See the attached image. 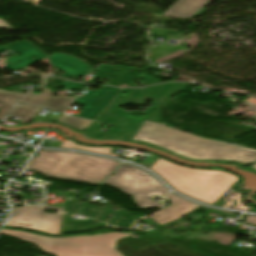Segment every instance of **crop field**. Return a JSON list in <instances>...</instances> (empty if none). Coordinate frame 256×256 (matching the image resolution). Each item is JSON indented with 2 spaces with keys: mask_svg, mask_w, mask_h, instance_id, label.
I'll return each instance as SVG.
<instances>
[{
  "mask_svg": "<svg viewBox=\"0 0 256 256\" xmlns=\"http://www.w3.org/2000/svg\"><path fill=\"white\" fill-rule=\"evenodd\" d=\"M132 140L144 141L193 160L237 161L243 164L256 160V150L200 138L150 121L144 122Z\"/></svg>",
  "mask_w": 256,
  "mask_h": 256,
  "instance_id": "crop-field-1",
  "label": "crop field"
},
{
  "mask_svg": "<svg viewBox=\"0 0 256 256\" xmlns=\"http://www.w3.org/2000/svg\"><path fill=\"white\" fill-rule=\"evenodd\" d=\"M188 84L184 83H170L157 85L149 88L143 89H122L121 92L117 95V97L113 100V102L108 106V108L101 114V116L97 119L105 124L110 123L115 125L107 132L103 133L98 131L103 124H99L93 122L82 134L84 137L91 139H118L131 140L133 136L137 133L139 128L141 127L144 120H150L158 123V115H159V106L162 105L170 96L181 91ZM122 92H127L126 95H120ZM146 99H151L154 101L155 111H152L153 108H147L143 113L146 115L145 118L134 120L128 116V112L121 111L119 109L122 105H127L132 102L136 105H143ZM138 113V112H132Z\"/></svg>",
  "mask_w": 256,
  "mask_h": 256,
  "instance_id": "crop-field-2",
  "label": "crop field"
},
{
  "mask_svg": "<svg viewBox=\"0 0 256 256\" xmlns=\"http://www.w3.org/2000/svg\"><path fill=\"white\" fill-rule=\"evenodd\" d=\"M149 169L176 191L208 204H215L239 181L238 176L230 172L187 168L161 158Z\"/></svg>",
  "mask_w": 256,
  "mask_h": 256,
  "instance_id": "crop-field-3",
  "label": "crop field"
},
{
  "mask_svg": "<svg viewBox=\"0 0 256 256\" xmlns=\"http://www.w3.org/2000/svg\"><path fill=\"white\" fill-rule=\"evenodd\" d=\"M27 169L46 176L99 185L120 163L71 153L38 152Z\"/></svg>",
  "mask_w": 256,
  "mask_h": 256,
  "instance_id": "crop-field-4",
  "label": "crop field"
},
{
  "mask_svg": "<svg viewBox=\"0 0 256 256\" xmlns=\"http://www.w3.org/2000/svg\"><path fill=\"white\" fill-rule=\"evenodd\" d=\"M1 233L33 242L43 251L57 256H124L116 250L120 238L128 233H107L77 237L49 238L25 231L1 229Z\"/></svg>",
  "mask_w": 256,
  "mask_h": 256,
  "instance_id": "crop-field-5",
  "label": "crop field"
},
{
  "mask_svg": "<svg viewBox=\"0 0 256 256\" xmlns=\"http://www.w3.org/2000/svg\"><path fill=\"white\" fill-rule=\"evenodd\" d=\"M105 184L121 190V192L132 196L133 202L139 208H153L160 204L149 199L152 195L164 196L167 191L154 179L147 176L138 169L126 164L121 165Z\"/></svg>",
  "mask_w": 256,
  "mask_h": 256,
  "instance_id": "crop-field-6",
  "label": "crop field"
},
{
  "mask_svg": "<svg viewBox=\"0 0 256 256\" xmlns=\"http://www.w3.org/2000/svg\"><path fill=\"white\" fill-rule=\"evenodd\" d=\"M45 208L57 210V214L44 213ZM13 214L5 227L29 229L59 235L63 208L55 206L12 207Z\"/></svg>",
  "mask_w": 256,
  "mask_h": 256,
  "instance_id": "crop-field-7",
  "label": "crop field"
},
{
  "mask_svg": "<svg viewBox=\"0 0 256 256\" xmlns=\"http://www.w3.org/2000/svg\"><path fill=\"white\" fill-rule=\"evenodd\" d=\"M120 88L101 87L99 92L87 90L83 97L77 98L76 103L85 106L78 115L80 117L95 120L120 92Z\"/></svg>",
  "mask_w": 256,
  "mask_h": 256,
  "instance_id": "crop-field-8",
  "label": "crop field"
},
{
  "mask_svg": "<svg viewBox=\"0 0 256 256\" xmlns=\"http://www.w3.org/2000/svg\"><path fill=\"white\" fill-rule=\"evenodd\" d=\"M10 49L19 55L5 60V68L10 70H21L45 57L42 51L27 40L0 47V51ZM36 59H33V58ZM17 62H20L19 64Z\"/></svg>",
  "mask_w": 256,
  "mask_h": 256,
  "instance_id": "crop-field-9",
  "label": "crop field"
},
{
  "mask_svg": "<svg viewBox=\"0 0 256 256\" xmlns=\"http://www.w3.org/2000/svg\"><path fill=\"white\" fill-rule=\"evenodd\" d=\"M96 71L98 73L95 77L91 79L90 81L91 83H94L98 77H102V78H110L111 84L114 86H125V85H122V83H127L129 84V87H138L130 84V80L132 79L130 77L133 71L132 68H126L122 66L99 65ZM142 78L147 80V82H145V85L143 86L159 82V80L155 78H149L145 76H143Z\"/></svg>",
  "mask_w": 256,
  "mask_h": 256,
  "instance_id": "crop-field-10",
  "label": "crop field"
},
{
  "mask_svg": "<svg viewBox=\"0 0 256 256\" xmlns=\"http://www.w3.org/2000/svg\"><path fill=\"white\" fill-rule=\"evenodd\" d=\"M91 208H93L91 210ZM82 212V213H80ZM78 214L86 216V217H92L94 219H99L102 221H106L107 218L109 217V213H112L115 217H111L108 220H112V222H109L110 225L112 226H120V227H126L129 228V222L133 223L134 218L129 215L127 212L125 213L124 210L122 211H113L111 204H108L106 208L99 209L96 208L95 205H90L87 204ZM121 217H124L125 219H122Z\"/></svg>",
  "mask_w": 256,
  "mask_h": 256,
  "instance_id": "crop-field-11",
  "label": "crop field"
},
{
  "mask_svg": "<svg viewBox=\"0 0 256 256\" xmlns=\"http://www.w3.org/2000/svg\"><path fill=\"white\" fill-rule=\"evenodd\" d=\"M167 197L171 200L170 206L150 216V218H152L160 225L176 220L198 207L180 198H177L172 194L167 195Z\"/></svg>",
  "mask_w": 256,
  "mask_h": 256,
  "instance_id": "crop-field-12",
  "label": "crop field"
},
{
  "mask_svg": "<svg viewBox=\"0 0 256 256\" xmlns=\"http://www.w3.org/2000/svg\"><path fill=\"white\" fill-rule=\"evenodd\" d=\"M85 203L78 205L75 201H66L64 206V214L62 225L60 229V233H69V232H77V231H86L96 226L107 225L105 223H95L97 221L88 219L83 221H75L71 222L70 215H74L79 208Z\"/></svg>",
  "mask_w": 256,
  "mask_h": 256,
  "instance_id": "crop-field-13",
  "label": "crop field"
},
{
  "mask_svg": "<svg viewBox=\"0 0 256 256\" xmlns=\"http://www.w3.org/2000/svg\"><path fill=\"white\" fill-rule=\"evenodd\" d=\"M49 60L51 64L66 71V73L61 77H64L67 79L70 78V75L80 77L93 71V69L89 67L85 62L79 59H76L74 57L67 56L62 53L53 54L52 56L49 57ZM87 69H89L90 71L87 72L86 71Z\"/></svg>",
  "mask_w": 256,
  "mask_h": 256,
  "instance_id": "crop-field-14",
  "label": "crop field"
},
{
  "mask_svg": "<svg viewBox=\"0 0 256 256\" xmlns=\"http://www.w3.org/2000/svg\"><path fill=\"white\" fill-rule=\"evenodd\" d=\"M209 0H178L163 15L180 18H190Z\"/></svg>",
  "mask_w": 256,
  "mask_h": 256,
  "instance_id": "crop-field-15",
  "label": "crop field"
},
{
  "mask_svg": "<svg viewBox=\"0 0 256 256\" xmlns=\"http://www.w3.org/2000/svg\"><path fill=\"white\" fill-rule=\"evenodd\" d=\"M6 92L0 90V106L3 105V108L0 110V113L7 114L10 109L13 107L15 102L23 95V93L16 92Z\"/></svg>",
  "mask_w": 256,
  "mask_h": 256,
  "instance_id": "crop-field-16",
  "label": "crop field"
},
{
  "mask_svg": "<svg viewBox=\"0 0 256 256\" xmlns=\"http://www.w3.org/2000/svg\"><path fill=\"white\" fill-rule=\"evenodd\" d=\"M75 99L74 96H64L58 95L56 97H52L48 102L44 105L50 109L57 110L63 112L69 106V104Z\"/></svg>",
  "mask_w": 256,
  "mask_h": 256,
  "instance_id": "crop-field-17",
  "label": "crop field"
},
{
  "mask_svg": "<svg viewBox=\"0 0 256 256\" xmlns=\"http://www.w3.org/2000/svg\"><path fill=\"white\" fill-rule=\"evenodd\" d=\"M60 147H66V148H78L89 152H95V153H101L109 156L118 157L117 154L109 153L113 148H105V147H87V146H81L77 143L66 139Z\"/></svg>",
  "mask_w": 256,
  "mask_h": 256,
  "instance_id": "crop-field-18",
  "label": "crop field"
},
{
  "mask_svg": "<svg viewBox=\"0 0 256 256\" xmlns=\"http://www.w3.org/2000/svg\"><path fill=\"white\" fill-rule=\"evenodd\" d=\"M54 92L48 91V88H43V92L40 94H27L20 102L32 103L43 106L46 101L52 97Z\"/></svg>",
  "mask_w": 256,
  "mask_h": 256,
  "instance_id": "crop-field-19",
  "label": "crop field"
},
{
  "mask_svg": "<svg viewBox=\"0 0 256 256\" xmlns=\"http://www.w3.org/2000/svg\"><path fill=\"white\" fill-rule=\"evenodd\" d=\"M58 122H61L79 131H82L84 128H87L92 123L91 121L70 117L65 114L62 115Z\"/></svg>",
  "mask_w": 256,
  "mask_h": 256,
  "instance_id": "crop-field-20",
  "label": "crop field"
},
{
  "mask_svg": "<svg viewBox=\"0 0 256 256\" xmlns=\"http://www.w3.org/2000/svg\"><path fill=\"white\" fill-rule=\"evenodd\" d=\"M32 107L34 108L31 109ZM41 108L42 107L30 106V105L18 106V107H15L14 111L11 114L32 119L39 112Z\"/></svg>",
  "mask_w": 256,
  "mask_h": 256,
  "instance_id": "crop-field-21",
  "label": "crop field"
},
{
  "mask_svg": "<svg viewBox=\"0 0 256 256\" xmlns=\"http://www.w3.org/2000/svg\"><path fill=\"white\" fill-rule=\"evenodd\" d=\"M177 48H180V47H173L171 50L164 49L161 47H154V49L148 54V58L152 62L160 57L171 55ZM180 49H183V48H180Z\"/></svg>",
  "mask_w": 256,
  "mask_h": 256,
  "instance_id": "crop-field-22",
  "label": "crop field"
},
{
  "mask_svg": "<svg viewBox=\"0 0 256 256\" xmlns=\"http://www.w3.org/2000/svg\"><path fill=\"white\" fill-rule=\"evenodd\" d=\"M61 86L65 87V90H84L86 84H79L75 82L65 81Z\"/></svg>",
  "mask_w": 256,
  "mask_h": 256,
  "instance_id": "crop-field-23",
  "label": "crop field"
},
{
  "mask_svg": "<svg viewBox=\"0 0 256 256\" xmlns=\"http://www.w3.org/2000/svg\"><path fill=\"white\" fill-rule=\"evenodd\" d=\"M245 220H246V222L249 223V224L256 225V217L248 216V217H246Z\"/></svg>",
  "mask_w": 256,
  "mask_h": 256,
  "instance_id": "crop-field-24",
  "label": "crop field"
},
{
  "mask_svg": "<svg viewBox=\"0 0 256 256\" xmlns=\"http://www.w3.org/2000/svg\"><path fill=\"white\" fill-rule=\"evenodd\" d=\"M0 27H5V28H11L13 29L9 24H7L3 19H0Z\"/></svg>",
  "mask_w": 256,
  "mask_h": 256,
  "instance_id": "crop-field-25",
  "label": "crop field"
},
{
  "mask_svg": "<svg viewBox=\"0 0 256 256\" xmlns=\"http://www.w3.org/2000/svg\"><path fill=\"white\" fill-rule=\"evenodd\" d=\"M203 13H205V10L201 9L194 17H198V16H200Z\"/></svg>",
  "mask_w": 256,
  "mask_h": 256,
  "instance_id": "crop-field-26",
  "label": "crop field"
},
{
  "mask_svg": "<svg viewBox=\"0 0 256 256\" xmlns=\"http://www.w3.org/2000/svg\"><path fill=\"white\" fill-rule=\"evenodd\" d=\"M10 116H12V115H10ZM14 117H16V116H14ZM18 118H20V117H18ZM22 120H21V122L20 123H24V122H29L30 120L29 119H25V118H21Z\"/></svg>",
  "mask_w": 256,
  "mask_h": 256,
  "instance_id": "crop-field-27",
  "label": "crop field"
},
{
  "mask_svg": "<svg viewBox=\"0 0 256 256\" xmlns=\"http://www.w3.org/2000/svg\"><path fill=\"white\" fill-rule=\"evenodd\" d=\"M251 168H253L254 170H256V162H255L253 165H251Z\"/></svg>",
  "mask_w": 256,
  "mask_h": 256,
  "instance_id": "crop-field-28",
  "label": "crop field"
},
{
  "mask_svg": "<svg viewBox=\"0 0 256 256\" xmlns=\"http://www.w3.org/2000/svg\"><path fill=\"white\" fill-rule=\"evenodd\" d=\"M4 116H5L4 114H0V120H1Z\"/></svg>",
  "mask_w": 256,
  "mask_h": 256,
  "instance_id": "crop-field-29",
  "label": "crop field"
}]
</instances>
